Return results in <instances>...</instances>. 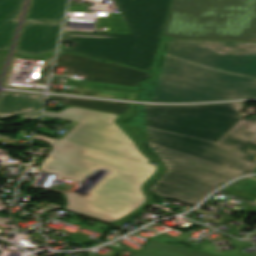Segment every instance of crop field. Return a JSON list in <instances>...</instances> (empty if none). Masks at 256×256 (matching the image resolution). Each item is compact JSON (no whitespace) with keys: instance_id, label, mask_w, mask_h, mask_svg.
<instances>
[{"instance_id":"obj_12","label":"crop field","mask_w":256,"mask_h":256,"mask_svg":"<svg viewBox=\"0 0 256 256\" xmlns=\"http://www.w3.org/2000/svg\"><path fill=\"white\" fill-rule=\"evenodd\" d=\"M43 95L19 94L2 92L0 95V107H11L43 103Z\"/></svg>"},{"instance_id":"obj_16","label":"crop field","mask_w":256,"mask_h":256,"mask_svg":"<svg viewBox=\"0 0 256 256\" xmlns=\"http://www.w3.org/2000/svg\"><path fill=\"white\" fill-rule=\"evenodd\" d=\"M68 107H74V106H68ZM66 107V108H68ZM65 109V108H64ZM85 109V108H84ZM63 110V109H62ZM60 110V111H62ZM90 110V109H89ZM59 111V112H60ZM45 112H50V111H45ZM57 112V113H59ZM127 116H122V115H118V118L114 121L135 143V145L137 146V148L139 149V151L149 159V161L151 162H157V160H155L154 158L148 156L141 148L139 141L131 134V132L125 127V125L123 124V122H121L123 119H125Z\"/></svg>"},{"instance_id":"obj_15","label":"crop field","mask_w":256,"mask_h":256,"mask_svg":"<svg viewBox=\"0 0 256 256\" xmlns=\"http://www.w3.org/2000/svg\"><path fill=\"white\" fill-rule=\"evenodd\" d=\"M161 171H162V168H161V165L159 164V166H157L156 172H155V173L145 182V184L142 186V190H143L144 195H145V197H146V202H145L141 207L137 208L135 211L129 213V214L126 215L125 217H123V218H121V219H118V220H116V221H114V222L108 223V224L118 225V224L125 223V222L129 221V219H130L132 216L136 215L140 210L144 209L146 206H148L149 204H151V203H152L151 195H149V194L145 191V187H146V185H147L150 181H152L153 179H155V178L160 174ZM64 198H65V201H66V203H67V200H66L65 195H64ZM63 209L66 210V209H65V206L63 207ZM66 211H67V210H66ZM87 217H88V216H87ZM90 218H91V217H90ZM92 219H94V218H92ZM95 220H97V219H95ZM99 221H100V220H99ZM102 222H104V221H102ZM106 223H107V222H106Z\"/></svg>"},{"instance_id":"obj_5","label":"crop field","mask_w":256,"mask_h":256,"mask_svg":"<svg viewBox=\"0 0 256 256\" xmlns=\"http://www.w3.org/2000/svg\"><path fill=\"white\" fill-rule=\"evenodd\" d=\"M163 33L175 39L256 40V0H173Z\"/></svg>"},{"instance_id":"obj_11","label":"crop field","mask_w":256,"mask_h":256,"mask_svg":"<svg viewBox=\"0 0 256 256\" xmlns=\"http://www.w3.org/2000/svg\"><path fill=\"white\" fill-rule=\"evenodd\" d=\"M132 256H215L158 241H149L140 251Z\"/></svg>"},{"instance_id":"obj_18","label":"crop field","mask_w":256,"mask_h":256,"mask_svg":"<svg viewBox=\"0 0 256 256\" xmlns=\"http://www.w3.org/2000/svg\"><path fill=\"white\" fill-rule=\"evenodd\" d=\"M248 154V153H247ZM252 155V154H251ZM255 156V155H254Z\"/></svg>"},{"instance_id":"obj_2","label":"crop field","mask_w":256,"mask_h":256,"mask_svg":"<svg viewBox=\"0 0 256 256\" xmlns=\"http://www.w3.org/2000/svg\"><path fill=\"white\" fill-rule=\"evenodd\" d=\"M44 116L80 122L61 141L35 134L33 138L52 145L41 170L80 182L99 168L111 172L86 196L63 185L51 190L66 194L67 210L107 222L135 210L145 197L141 186L155 172L132 140L113 122L117 115L69 108Z\"/></svg>"},{"instance_id":"obj_10","label":"crop field","mask_w":256,"mask_h":256,"mask_svg":"<svg viewBox=\"0 0 256 256\" xmlns=\"http://www.w3.org/2000/svg\"><path fill=\"white\" fill-rule=\"evenodd\" d=\"M48 100H61L63 106L74 105V106L101 110V111L122 114L127 116L134 115L133 108L135 104L77 99V98H66V97H55V96H48Z\"/></svg>"},{"instance_id":"obj_8","label":"crop field","mask_w":256,"mask_h":256,"mask_svg":"<svg viewBox=\"0 0 256 256\" xmlns=\"http://www.w3.org/2000/svg\"><path fill=\"white\" fill-rule=\"evenodd\" d=\"M67 0H33L26 21L62 22Z\"/></svg>"},{"instance_id":"obj_13","label":"crop field","mask_w":256,"mask_h":256,"mask_svg":"<svg viewBox=\"0 0 256 256\" xmlns=\"http://www.w3.org/2000/svg\"><path fill=\"white\" fill-rule=\"evenodd\" d=\"M43 104L39 105H30V106H20V107H11V108H0V118L1 117H10L23 114L20 118L35 120L41 115V107Z\"/></svg>"},{"instance_id":"obj_4","label":"crop field","mask_w":256,"mask_h":256,"mask_svg":"<svg viewBox=\"0 0 256 256\" xmlns=\"http://www.w3.org/2000/svg\"><path fill=\"white\" fill-rule=\"evenodd\" d=\"M130 35L64 32L71 49L98 59L150 71L171 0H115Z\"/></svg>"},{"instance_id":"obj_14","label":"crop field","mask_w":256,"mask_h":256,"mask_svg":"<svg viewBox=\"0 0 256 256\" xmlns=\"http://www.w3.org/2000/svg\"><path fill=\"white\" fill-rule=\"evenodd\" d=\"M67 85L138 93L140 88L69 79Z\"/></svg>"},{"instance_id":"obj_17","label":"crop field","mask_w":256,"mask_h":256,"mask_svg":"<svg viewBox=\"0 0 256 256\" xmlns=\"http://www.w3.org/2000/svg\"><path fill=\"white\" fill-rule=\"evenodd\" d=\"M4 55H5V53H0V68H1V65H2V62L4 59Z\"/></svg>"},{"instance_id":"obj_1","label":"crop field","mask_w":256,"mask_h":256,"mask_svg":"<svg viewBox=\"0 0 256 256\" xmlns=\"http://www.w3.org/2000/svg\"><path fill=\"white\" fill-rule=\"evenodd\" d=\"M243 102L196 106L139 105L128 126L165 172L150 192L194 206L221 184L254 171L256 119Z\"/></svg>"},{"instance_id":"obj_6","label":"crop field","mask_w":256,"mask_h":256,"mask_svg":"<svg viewBox=\"0 0 256 256\" xmlns=\"http://www.w3.org/2000/svg\"><path fill=\"white\" fill-rule=\"evenodd\" d=\"M55 67H66L67 71L64 75L72 76V74L85 75V80L136 86L141 81H147L153 77L152 74L126 68L110 63H101L95 60L74 55L64 54L56 59Z\"/></svg>"},{"instance_id":"obj_3","label":"crop field","mask_w":256,"mask_h":256,"mask_svg":"<svg viewBox=\"0 0 256 256\" xmlns=\"http://www.w3.org/2000/svg\"><path fill=\"white\" fill-rule=\"evenodd\" d=\"M140 100L195 102L256 97V43L162 38Z\"/></svg>"},{"instance_id":"obj_7","label":"crop field","mask_w":256,"mask_h":256,"mask_svg":"<svg viewBox=\"0 0 256 256\" xmlns=\"http://www.w3.org/2000/svg\"><path fill=\"white\" fill-rule=\"evenodd\" d=\"M61 24L25 23L18 52L27 55L54 53Z\"/></svg>"},{"instance_id":"obj_9","label":"crop field","mask_w":256,"mask_h":256,"mask_svg":"<svg viewBox=\"0 0 256 256\" xmlns=\"http://www.w3.org/2000/svg\"><path fill=\"white\" fill-rule=\"evenodd\" d=\"M23 0H0V50H8Z\"/></svg>"}]
</instances>
